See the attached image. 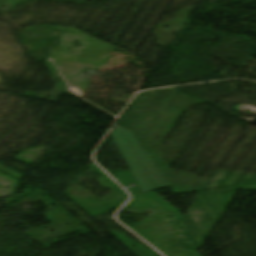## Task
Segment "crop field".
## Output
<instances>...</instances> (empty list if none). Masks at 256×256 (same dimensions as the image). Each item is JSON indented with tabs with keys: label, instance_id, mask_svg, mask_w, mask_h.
Listing matches in <instances>:
<instances>
[{
	"label": "crop field",
	"instance_id": "8a807250",
	"mask_svg": "<svg viewBox=\"0 0 256 256\" xmlns=\"http://www.w3.org/2000/svg\"><path fill=\"white\" fill-rule=\"evenodd\" d=\"M131 134L115 125L110 135L143 192L169 186Z\"/></svg>",
	"mask_w": 256,
	"mask_h": 256
}]
</instances>
